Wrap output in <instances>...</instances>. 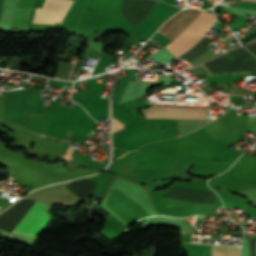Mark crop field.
I'll use <instances>...</instances> for the list:
<instances>
[{
  "label": "crop field",
  "mask_w": 256,
  "mask_h": 256,
  "mask_svg": "<svg viewBox=\"0 0 256 256\" xmlns=\"http://www.w3.org/2000/svg\"><path fill=\"white\" fill-rule=\"evenodd\" d=\"M215 15L202 11L196 19L165 48L175 57L189 49L213 23Z\"/></svg>",
  "instance_id": "1"
},
{
  "label": "crop field",
  "mask_w": 256,
  "mask_h": 256,
  "mask_svg": "<svg viewBox=\"0 0 256 256\" xmlns=\"http://www.w3.org/2000/svg\"><path fill=\"white\" fill-rule=\"evenodd\" d=\"M46 208L47 205L36 202L12 231L36 237L50 218L49 214L44 212Z\"/></svg>",
  "instance_id": "2"
},
{
  "label": "crop field",
  "mask_w": 256,
  "mask_h": 256,
  "mask_svg": "<svg viewBox=\"0 0 256 256\" xmlns=\"http://www.w3.org/2000/svg\"><path fill=\"white\" fill-rule=\"evenodd\" d=\"M208 106L154 105L148 111L207 112ZM147 112L146 117L205 118L207 113ZM161 118V119H162Z\"/></svg>",
  "instance_id": "3"
},
{
  "label": "crop field",
  "mask_w": 256,
  "mask_h": 256,
  "mask_svg": "<svg viewBox=\"0 0 256 256\" xmlns=\"http://www.w3.org/2000/svg\"><path fill=\"white\" fill-rule=\"evenodd\" d=\"M200 12L195 9L184 10L170 18L160 28L178 36Z\"/></svg>",
  "instance_id": "4"
},
{
  "label": "crop field",
  "mask_w": 256,
  "mask_h": 256,
  "mask_svg": "<svg viewBox=\"0 0 256 256\" xmlns=\"http://www.w3.org/2000/svg\"><path fill=\"white\" fill-rule=\"evenodd\" d=\"M240 248L212 245V256H239Z\"/></svg>",
  "instance_id": "5"
},
{
  "label": "crop field",
  "mask_w": 256,
  "mask_h": 256,
  "mask_svg": "<svg viewBox=\"0 0 256 256\" xmlns=\"http://www.w3.org/2000/svg\"><path fill=\"white\" fill-rule=\"evenodd\" d=\"M175 57L169 53L163 46L156 53L148 57L147 59H153V61L169 62Z\"/></svg>",
  "instance_id": "6"
},
{
  "label": "crop field",
  "mask_w": 256,
  "mask_h": 256,
  "mask_svg": "<svg viewBox=\"0 0 256 256\" xmlns=\"http://www.w3.org/2000/svg\"><path fill=\"white\" fill-rule=\"evenodd\" d=\"M245 1H253L256 2V0H245ZM240 1L238 4L234 5L235 7L245 8V9H251L256 10V3L253 2H245Z\"/></svg>",
  "instance_id": "7"
}]
</instances>
